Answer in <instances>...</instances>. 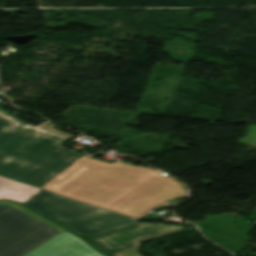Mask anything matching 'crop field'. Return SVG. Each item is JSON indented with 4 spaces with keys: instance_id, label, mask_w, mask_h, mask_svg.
<instances>
[{
    "instance_id": "obj_1",
    "label": "crop field",
    "mask_w": 256,
    "mask_h": 256,
    "mask_svg": "<svg viewBox=\"0 0 256 256\" xmlns=\"http://www.w3.org/2000/svg\"><path fill=\"white\" fill-rule=\"evenodd\" d=\"M42 189L140 219L168 201L187 197L185 186L167 174L116 160L84 157Z\"/></svg>"
},
{
    "instance_id": "obj_2",
    "label": "crop field",
    "mask_w": 256,
    "mask_h": 256,
    "mask_svg": "<svg viewBox=\"0 0 256 256\" xmlns=\"http://www.w3.org/2000/svg\"><path fill=\"white\" fill-rule=\"evenodd\" d=\"M67 141L0 113V175L45 186L84 157L61 146Z\"/></svg>"
},
{
    "instance_id": "obj_3",
    "label": "crop field",
    "mask_w": 256,
    "mask_h": 256,
    "mask_svg": "<svg viewBox=\"0 0 256 256\" xmlns=\"http://www.w3.org/2000/svg\"><path fill=\"white\" fill-rule=\"evenodd\" d=\"M23 204L87 238L138 222L137 219L43 190Z\"/></svg>"
},
{
    "instance_id": "obj_4",
    "label": "crop field",
    "mask_w": 256,
    "mask_h": 256,
    "mask_svg": "<svg viewBox=\"0 0 256 256\" xmlns=\"http://www.w3.org/2000/svg\"><path fill=\"white\" fill-rule=\"evenodd\" d=\"M14 208L0 205V256H22L59 233Z\"/></svg>"
},
{
    "instance_id": "obj_5",
    "label": "crop field",
    "mask_w": 256,
    "mask_h": 256,
    "mask_svg": "<svg viewBox=\"0 0 256 256\" xmlns=\"http://www.w3.org/2000/svg\"><path fill=\"white\" fill-rule=\"evenodd\" d=\"M180 230H182L181 226H166L162 223H136L90 238L89 240L99 246L104 252L113 256H142L137 252L141 242Z\"/></svg>"
},
{
    "instance_id": "obj_6",
    "label": "crop field",
    "mask_w": 256,
    "mask_h": 256,
    "mask_svg": "<svg viewBox=\"0 0 256 256\" xmlns=\"http://www.w3.org/2000/svg\"><path fill=\"white\" fill-rule=\"evenodd\" d=\"M24 256H103L67 230L54 236Z\"/></svg>"
},
{
    "instance_id": "obj_7",
    "label": "crop field",
    "mask_w": 256,
    "mask_h": 256,
    "mask_svg": "<svg viewBox=\"0 0 256 256\" xmlns=\"http://www.w3.org/2000/svg\"><path fill=\"white\" fill-rule=\"evenodd\" d=\"M41 189L27 186L0 176V199L25 202Z\"/></svg>"
},
{
    "instance_id": "obj_8",
    "label": "crop field",
    "mask_w": 256,
    "mask_h": 256,
    "mask_svg": "<svg viewBox=\"0 0 256 256\" xmlns=\"http://www.w3.org/2000/svg\"><path fill=\"white\" fill-rule=\"evenodd\" d=\"M0 204H3V205H11V206L17 208L18 210H20V211H22V212L28 214L29 216H31V217L37 219L38 221H40V222H42V223H44V224H46V225H48V226H50V227H52V228L58 230V231H60V232L63 231V230H65V229H63V228H61V227H59V226H57V225H55V224H53V223L47 221L46 219H44V218H42V217L36 215L35 213H33V212H31V211H29V210H27V209H25V208H23V207L17 205V204H14V203H11V202H0Z\"/></svg>"
},
{
    "instance_id": "obj_9",
    "label": "crop field",
    "mask_w": 256,
    "mask_h": 256,
    "mask_svg": "<svg viewBox=\"0 0 256 256\" xmlns=\"http://www.w3.org/2000/svg\"><path fill=\"white\" fill-rule=\"evenodd\" d=\"M54 127H56L55 125L51 124V123H44L40 126L41 129L43 130H47V131H51V132H54V133H57L59 135H62V136H65V137H68V138H71L73 136L67 134V133H64V132H61V131H58V130H55L53 129Z\"/></svg>"
}]
</instances>
